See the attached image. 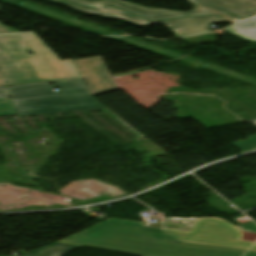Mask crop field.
Wrapping results in <instances>:
<instances>
[{
	"label": "crop field",
	"mask_w": 256,
	"mask_h": 256,
	"mask_svg": "<svg viewBox=\"0 0 256 256\" xmlns=\"http://www.w3.org/2000/svg\"><path fill=\"white\" fill-rule=\"evenodd\" d=\"M142 228V222L108 219L60 243L140 256H256L251 251L186 243L256 250V242L242 240L241 230L220 218L199 219L190 232L170 229L154 232Z\"/></svg>",
	"instance_id": "8a807250"
},
{
	"label": "crop field",
	"mask_w": 256,
	"mask_h": 256,
	"mask_svg": "<svg viewBox=\"0 0 256 256\" xmlns=\"http://www.w3.org/2000/svg\"><path fill=\"white\" fill-rule=\"evenodd\" d=\"M0 72L6 85L83 78L75 60H60L34 33L0 36Z\"/></svg>",
	"instance_id": "ac0d7876"
},
{
	"label": "crop field",
	"mask_w": 256,
	"mask_h": 256,
	"mask_svg": "<svg viewBox=\"0 0 256 256\" xmlns=\"http://www.w3.org/2000/svg\"><path fill=\"white\" fill-rule=\"evenodd\" d=\"M8 87L17 115L104 108L84 79ZM57 87L59 91L53 92Z\"/></svg>",
	"instance_id": "34b2d1b8"
},
{
	"label": "crop field",
	"mask_w": 256,
	"mask_h": 256,
	"mask_svg": "<svg viewBox=\"0 0 256 256\" xmlns=\"http://www.w3.org/2000/svg\"><path fill=\"white\" fill-rule=\"evenodd\" d=\"M67 1H72L76 3L84 4L90 7H97V8L108 6V5H115L133 14L144 17L150 21L224 13L222 11H219L215 8H212L210 6H207L195 0H189V2L194 7V10L191 13H178L173 11L156 10L151 8L139 7V6L132 5L128 2L119 1V0H100V1L67 0Z\"/></svg>",
	"instance_id": "412701ff"
},
{
	"label": "crop field",
	"mask_w": 256,
	"mask_h": 256,
	"mask_svg": "<svg viewBox=\"0 0 256 256\" xmlns=\"http://www.w3.org/2000/svg\"><path fill=\"white\" fill-rule=\"evenodd\" d=\"M77 64L93 96L119 89L102 58L79 60Z\"/></svg>",
	"instance_id": "f4fd0767"
},
{
	"label": "crop field",
	"mask_w": 256,
	"mask_h": 256,
	"mask_svg": "<svg viewBox=\"0 0 256 256\" xmlns=\"http://www.w3.org/2000/svg\"><path fill=\"white\" fill-rule=\"evenodd\" d=\"M228 20L232 23L240 20L229 14L191 17L167 21H159L169 27L177 37H186L206 32H211V25L216 22Z\"/></svg>",
	"instance_id": "dd49c442"
},
{
	"label": "crop field",
	"mask_w": 256,
	"mask_h": 256,
	"mask_svg": "<svg viewBox=\"0 0 256 256\" xmlns=\"http://www.w3.org/2000/svg\"><path fill=\"white\" fill-rule=\"evenodd\" d=\"M224 12H231L241 18L256 14V0H198Z\"/></svg>",
	"instance_id": "e52e79f7"
},
{
	"label": "crop field",
	"mask_w": 256,
	"mask_h": 256,
	"mask_svg": "<svg viewBox=\"0 0 256 256\" xmlns=\"http://www.w3.org/2000/svg\"><path fill=\"white\" fill-rule=\"evenodd\" d=\"M52 1L69 5L71 8L79 10L84 13L101 15L104 17L114 18V19L127 20V21H130V22L142 25V26H145L149 23H155V22H148L142 18H139L135 15H132L130 13H127L125 11H122V10L117 9L112 6L101 8V9H92V8H88V7H84V6H80V5H76V4H72V3H67L62 0H52Z\"/></svg>",
	"instance_id": "d8731c3e"
},
{
	"label": "crop field",
	"mask_w": 256,
	"mask_h": 256,
	"mask_svg": "<svg viewBox=\"0 0 256 256\" xmlns=\"http://www.w3.org/2000/svg\"><path fill=\"white\" fill-rule=\"evenodd\" d=\"M225 30L249 42L256 41V17L243 20Z\"/></svg>",
	"instance_id": "5a996713"
},
{
	"label": "crop field",
	"mask_w": 256,
	"mask_h": 256,
	"mask_svg": "<svg viewBox=\"0 0 256 256\" xmlns=\"http://www.w3.org/2000/svg\"><path fill=\"white\" fill-rule=\"evenodd\" d=\"M77 248H80V246L54 243L52 245L41 248L39 250H36L34 252H31L23 256H60L64 253L75 250ZM11 256H14V255H11Z\"/></svg>",
	"instance_id": "3316defc"
},
{
	"label": "crop field",
	"mask_w": 256,
	"mask_h": 256,
	"mask_svg": "<svg viewBox=\"0 0 256 256\" xmlns=\"http://www.w3.org/2000/svg\"><path fill=\"white\" fill-rule=\"evenodd\" d=\"M16 114L10 98L0 99V115Z\"/></svg>",
	"instance_id": "28ad6ade"
},
{
	"label": "crop field",
	"mask_w": 256,
	"mask_h": 256,
	"mask_svg": "<svg viewBox=\"0 0 256 256\" xmlns=\"http://www.w3.org/2000/svg\"><path fill=\"white\" fill-rule=\"evenodd\" d=\"M234 145L241 148L245 152L249 151V150L256 149V134L254 136L250 137L249 139H247L245 141H239V142L235 143Z\"/></svg>",
	"instance_id": "d1516ede"
},
{
	"label": "crop field",
	"mask_w": 256,
	"mask_h": 256,
	"mask_svg": "<svg viewBox=\"0 0 256 256\" xmlns=\"http://www.w3.org/2000/svg\"><path fill=\"white\" fill-rule=\"evenodd\" d=\"M16 32H18V31L0 24V34L16 33Z\"/></svg>",
	"instance_id": "22f410ed"
},
{
	"label": "crop field",
	"mask_w": 256,
	"mask_h": 256,
	"mask_svg": "<svg viewBox=\"0 0 256 256\" xmlns=\"http://www.w3.org/2000/svg\"><path fill=\"white\" fill-rule=\"evenodd\" d=\"M9 97L5 87H0V98Z\"/></svg>",
	"instance_id": "cbeb9de0"
},
{
	"label": "crop field",
	"mask_w": 256,
	"mask_h": 256,
	"mask_svg": "<svg viewBox=\"0 0 256 256\" xmlns=\"http://www.w3.org/2000/svg\"><path fill=\"white\" fill-rule=\"evenodd\" d=\"M143 229H147V230H155V231H159L160 229L157 228H148V227H144Z\"/></svg>",
	"instance_id": "5142ce71"
},
{
	"label": "crop field",
	"mask_w": 256,
	"mask_h": 256,
	"mask_svg": "<svg viewBox=\"0 0 256 256\" xmlns=\"http://www.w3.org/2000/svg\"><path fill=\"white\" fill-rule=\"evenodd\" d=\"M2 85H5V84H4V81L2 80V78L0 76V86H2Z\"/></svg>",
	"instance_id": "d9b57169"
}]
</instances>
